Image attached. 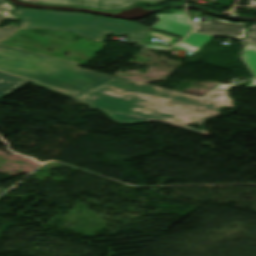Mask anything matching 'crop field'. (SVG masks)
I'll list each match as a JSON object with an SVG mask.
<instances>
[{
    "label": "crop field",
    "instance_id": "34b2d1b8",
    "mask_svg": "<svg viewBox=\"0 0 256 256\" xmlns=\"http://www.w3.org/2000/svg\"><path fill=\"white\" fill-rule=\"evenodd\" d=\"M192 24L197 32L216 34L237 39L245 37V30L247 26V23H234L217 18H212L208 22H199Z\"/></svg>",
    "mask_w": 256,
    "mask_h": 256
},
{
    "label": "crop field",
    "instance_id": "d8731c3e",
    "mask_svg": "<svg viewBox=\"0 0 256 256\" xmlns=\"http://www.w3.org/2000/svg\"><path fill=\"white\" fill-rule=\"evenodd\" d=\"M213 36L203 35L199 33H192L186 40L180 43L178 46L179 49L185 51H192L195 52L198 48L208 42ZM175 47V48H176ZM174 49V48H173Z\"/></svg>",
    "mask_w": 256,
    "mask_h": 256
},
{
    "label": "crop field",
    "instance_id": "dd49c442",
    "mask_svg": "<svg viewBox=\"0 0 256 256\" xmlns=\"http://www.w3.org/2000/svg\"><path fill=\"white\" fill-rule=\"evenodd\" d=\"M27 83L29 82L19 77L0 72V99L6 97Z\"/></svg>",
    "mask_w": 256,
    "mask_h": 256
},
{
    "label": "crop field",
    "instance_id": "8a807250",
    "mask_svg": "<svg viewBox=\"0 0 256 256\" xmlns=\"http://www.w3.org/2000/svg\"><path fill=\"white\" fill-rule=\"evenodd\" d=\"M0 70L74 96L119 123L162 121L206 134L202 124L208 117L221 114L216 110L224 105L233 108L227 90L211 89L199 98L2 45ZM189 123H197L203 129L186 126Z\"/></svg>",
    "mask_w": 256,
    "mask_h": 256
},
{
    "label": "crop field",
    "instance_id": "3316defc",
    "mask_svg": "<svg viewBox=\"0 0 256 256\" xmlns=\"http://www.w3.org/2000/svg\"><path fill=\"white\" fill-rule=\"evenodd\" d=\"M238 86H241V85H237V84H230V85L218 84V85L214 86L213 88L230 89V88H234V87H238Z\"/></svg>",
    "mask_w": 256,
    "mask_h": 256
},
{
    "label": "crop field",
    "instance_id": "cbeb9de0",
    "mask_svg": "<svg viewBox=\"0 0 256 256\" xmlns=\"http://www.w3.org/2000/svg\"><path fill=\"white\" fill-rule=\"evenodd\" d=\"M24 1L34 2V3H40L42 0H24Z\"/></svg>",
    "mask_w": 256,
    "mask_h": 256
},
{
    "label": "crop field",
    "instance_id": "e52e79f7",
    "mask_svg": "<svg viewBox=\"0 0 256 256\" xmlns=\"http://www.w3.org/2000/svg\"><path fill=\"white\" fill-rule=\"evenodd\" d=\"M244 41L256 44V23H254L253 26H250L248 37ZM243 59L246 61L256 77V47L246 43L243 53Z\"/></svg>",
    "mask_w": 256,
    "mask_h": 256
},
{
    "label": "crop field",
    "instance_id": "5a996713",
    "mask_svg": "<svg viewBox=\"0 0 256 256\" xmlns=\"http://www.w3.org/2000/svg\"><path fill=\"white\" fill-rule=\"evenodd\" d=\"M14 7L9 5L5 0H0V22L5 18L9 19H17L13 17L10 14V11L13 10ZM18 29V26L16 25H9L5 28L0 29V41L3 40L4 38L8 37L12 33H14Z\"/></svg>",
    "mask_w": 256,
    "mask_h": 256
},
{
    "label": "crop field",
    "instance_id": "d1516ede",
    "mask_svg": "<svg viewBox=\"0 0 256 256\" xmlns=\"http://www.w3.org/2000/svg\"><path fill=\"white\" fill-rule=\"evenodd\" d=\"M246 87H250V88L256 87V80L251 79L249 84Z\"/></svg>",
    "mask_w": 256,
    "mask_h": 256
},
{
    "label": "crop field",
    "instance_id": "22f410ed",
    "mask_svg": "<svg viewBox=\"0 0 256 256\" xmlns=\"http://www.w3.org/2000/svg\"><path fill=\"white\" fill-rule=\"evenodd\" d=\"M146 47H150V48H158V49H167L166 47H163V46H157V45H147Z\"/></svg>",
    "mask_w": 256,
    "mask_h": 256
},
{
    "label": "crop field",
    "instance_id": "ac0d7876",
    "mask_svg": "<svg viewBox=\"0 0 256 256\" xmlns=\"http://www.w3.org/2000/svg\"><path fill=\"white\" fill-rule=\"evenodd\" d=\"M21 18L20 29L47 28L53 30L72 31L78 35L90 38L94 41H102L108 33L114 35H128L126 43H137L145 47L147 44L140 42L150 32L134 22H125L91 16L83 13L40 11L33 9H21L14 11Z\"/></svg>",
    "mask_w": 256,
    "mask_h": 256
},
{
    "label": "crop field",
    "instance_id": "412701ff",
    "mask_svg": "<svg viewBox=\"0 0 256 256\" xmlns=\"http://www.w3.org/2000/svg\"><path fill=\"white\" fill-rule=\"evenodd\" d=\"M186 15L184 11L158 15L160 20L151 28L183 38L192 31Z\"/></svg>",
    "mask_w": 256,
    "mask_h": 256
},
{
    "label": "crop field",
    "instance_id": "28ad6ade",
    "mask_svg": "<svg viewBox=\"0 0 256 256\" xmlns=\"http://www.w3.org/2000/svg\"><path fill=\"white\" fill-rule=\"evenodd\" d=\"M234 0H221V5H232Z\"/></svg>",
    "mask_w": 256,
    "mask_h": 256
},
{
    "label": "crop field",
    "instance_id": "f4fd0767",
    "mask_svg": "<svg viewBox=\"0 0 256 256\" xmlns=\"http://www.w3.org/2000/svg\"><path fill=\"white\" fill-rule=\"evenodd\" d=\"M142 1L158 2L162 0H43L42 3L66 4L116 10L128 8L131 5L135 4V2L138 3Z\"/></svg>",
    "mask_w": 256,
    "mask_h": 256
}]
</instances>
